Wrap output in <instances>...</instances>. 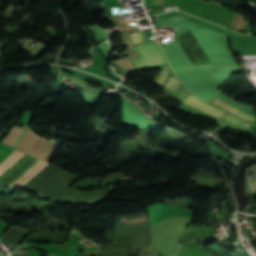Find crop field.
Here are the masks:
<instances>
[{
    "label": "crop field",
    "instance_id": "obj_1",
    "mask_svg": "<svg viewBox=\"0 0 256 256\" xmlns=\"http://www.w3.org/2000/svg\"><path fill=\"white\" fill-rule=\"evenodd\" d=\"M4 143L17 149L36 156L44 161L48 158L55 143L44 141L34 135L29 130L14 126Z\"/></svg>",
    "mask_w": 256,
    "mask_h": 256
},
{
    "label": "crop field",
    "instance_id": "obj_5",
    "mask_svg": "<svg viewBox=\"0 0 256 256\" xmlns=\"http://www.w3.org/2000/svg\"><path fill=\"white\" fill-rule=\"evenodd\" d=\"M172 73L173 72L167 63L153 83L168 89L174 93V96L183 100L189 91Z\"/></svg>",
    "mask_w": 256,
    "mask_h": 256
},
{
    "label": "crop field",
    "instance_id": "obj_4",
    "mask_svg": "<svg viewBox=\"0 0 256 256\" xmlns=\"http://www.w3.org/2000/svg\"><path fill=\"white\" fill-rule=\"evenodd\" d=\"M24 153L15 150L11 153L6 159H4L0 163V175L6 171L10 166L14 165L19 159L23 157ZM45 164L40 160H38L35 164H33L27 171H25L20 177L13 180L6 187H17L24 182H26L29 178H31L35 173H37Z\"/></svg>",
    "mask_w": 256,
    "mask_h": 256
},
{
    "label": "crop field",
    "instance_id": "obj_10",
    "mask_svg": "<svg viewBox=\"0 0 256 256\" xmlns=\"http://www.w3.org/2000/svg\"><path fill=\"white\" fill-rule=\"evenodd\" d=\"M13 227H14V226H13ZM13 227H11V228H13ZM11 228H10V229H11ZM16 228H17V227H16ZM10 229H9V230H10ZM20 229H21V228H20ZM9 230H8V231H9ZM8 231H7V232H8Z\"/></svg>",
    "mask_w": 256,
    "mask_h": 256
},
{
    "label": "crop field",
    "instance_id": "obj_7",
    "mask_svg": "<svg viewBox=\"0 0 256 256\" xmlns=\"http://www.w3.org/2000/svg\"><path fill=\"white\" fill-rule=\"evenodd\" d=\"M244 16L239 14H234L229 26L238 28V29H244L247 22L243 21Z\"/></svg>",
    "mask_w": 256,
    "mask_h": 256
},
{
    "label": "crop field",
    "instance_id": "obj_2",
    "mask_svg": "<svg viewBox=\"0 0 256 256\" xmlns=\"http://www.w3.org/2000/svg\"><path fill=\"white\" fill-rule=\"evenodd\" d=\"M129 34L132 45L138 55L130 58L135 69L166 63L156 41L144 43L141 31Z\"/></svg>",
    "mask_w": 256,
    "mask_h": 256
},
{
    "label": "crop field",
    "instance_id": "obj_3",
    "mask_svg": "<svg viewBox=\"0 0 256 256\" xmlns=\"http://www.w3.org/2000/svg\"><path fill=\"white\" fill-rule=\"evenodd\" d=\"M184 103H186V104H188V105H190L208 115L214 116L219 119H224V120L242 128L246 131H248V129L252 126L251 124H249L247 122L241 121L240 119L217 109L216 107L210 105L208 102H205L203 99L198 98L191 93H189V95L185 99Z\"/></svg>",
    "mask_w": 256,
    "mask_h": 256
},
{
    "label": "crop field",
    "instance_id": "obj_8",
    "mask_svg": "<svg viewBox=\"0 0 256 256\" xmlns=\"http://www.w3.org/2000/svg\"><path fill=\"white\" fill-rule=\"evenodd\" d=\"M164 0H155L154 5H163Z\"/></svg>",
    "mask_w": 256,
    "mask_h": 256
},
{
    "label": "crop field",
    "instance_id": "obj_9",
    "mask_svg": "<svg viewBox=\"0 0 256 256\" xmlns=\"http://www.w3.org/2000/svg\"><path fill=\"white\" fill-rule=\"evenodd\" d=\"M59 144H57V146L55 147V149L53 150V152L51 153V155L49 156V158L47 159V162L49 161V159L52 157V155L54 154V152L56 151V149L58 148Z\"/></svg>",
    "mask_w": 256,
    "mask_h": 256
},
{
    "label": "crop field",
    "instance_id": "obj_6",
    "mask_svg": "<svg viewBox=\"0 0 256 256\" xmlns=\"http://www.w3.org/2000/svg\"><path fill=\"white\" fill-rule=\"evenodd\" d=\"M211 103L219 106L220 108H222L224 110H228V111L232 112L233 115L238 116L240 118H243V119H246V120H249V121H252V122L256 119V117H254V116L248 114L247 112H245V111H243L241 109H238V108H236V107H234V106H232V105L222 101L221 99H219L217 97L214 98L211 101Z\"/></svg>",
    "mask_w": 256,
    "mask_h": 256
}]
</instances>
